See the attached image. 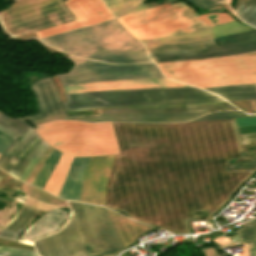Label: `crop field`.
<instances>
[{
	"label": "crop field",
	"mask_w": 256,
	"mask_h": 256,
	"mask_svg": "<svg viewBox=\"0 0 256 256\" xmlns=\"http://www.w3.org/2000/svg\"><path fill=\"white\" fill-rule=\"evenodd\" d=\"M0 132L12 137V138H16L18 135L8 131L7 129L3 128L2 126H0ZM2 133H0V154L7 148V146L13 141V139L3 135Z\"/></svg>",
	"instance_id": "028f5c9d"
},
{
	"label": "crop field",
	"mask_w": 256,
	"mask_h": 256,
	"mask_svg": "<svg viewBox=\"0 0 256 256\" xmlns=\"http://www.w3.org/2000/svg\"><path fill=\"white\" fill-rule=\"evenodd\" d=\"M218 46L213 39L204 40L199 42L187 43V44H165L157 46L146 47L147 51H159V50H190L201 49L205 47Z\"/></svg>",
	"instance_id": "730fd06b"
},
{
	"label": "crop field",
	"mask_w": 256,
	"mask_h": 256,
	"mask_svg": "<svg viewBox=\"0 0 256 256\" xmlns=\"http://www.w3.org/2000/svg\"><path fill=\"white\" fill-rule=\"evenodd\" d=\"M30 87L36 96L39 113L24 118L34 124L67 118V113L52 77L38 79Z\"/></svg>",
	"instance_id": "d1516ede"
},
{
	"label": "crop field",
	"mask_w": 256,
	"mask_h": 256,
	"mask_svg": "<svg viewBox=\"0 0 256 256\" xmlns=\"http://www.w3.org/2000/svg\"><path fill=\"white\" fill-rule=\"evenodd\" d=\"M209 90L227 101L256 99V84L225 86V87H209Z\"/></svg>",
	"instance_id": "a9b5d70f"
},
{
	"label": "crop field",
	"mask_w": 256,
	"mask_h": 256,
	"mask_svg": "<svg viewBox=\"0 0 256 256\" xmlns=\"http://www.w3.org/2000/svg\"><path fill=\"white\" fill-rule=\"evenodd\" d=\"M209 111L187 112L173 114H104V115H80L69 119H80L87 122L100 121H131V122H177L187 121ZM68 119V118H67Z\"/></svg>",
	"instance_id": "733c2abd"
},
{
	"label": "crop field",
	"mask_w": 256,
	"mask_h": 256,
	"mask_svg": "<svg viewBox=\"0 0 256 256\" xmlns=\"http://www.w3.org/2000/svg\"><path fill=\"white\" fill-rule=\"evenodd\" d=\"M239 236V244L256 239V220L250 224L245 223L235 231Z\"/></svg>",
	"instance_id": "750c4746"
},
{
	"label": "crop field",
	"mask_w": 256,
	"mask_h": 256,
	"mask_svg": "<svg viewBox=\"0 0 256 256\" xmlns=\"http://www.w3.org/2000/svg\"><path fill=\"white\" fill-rule=\"evenodd\" d=\"M229 168H256V160L231 162Z\"/></svg>",
	"instance_id": "b80d0937"
},
{
	"label": "crop field",
	"mask_w": 256,
	"mask_h": 256,
	"mask_svg": "<svg viewBox=\"0 0 256 256\" xmlns=\"http://www.w3.org/2000/svg\"><path fill=\"white\" fill-rule=\"evenodd\" d=\"M61 152L54 149L47 160L44 162L43 166L41 167L40 171L36 175L35 179L32 182V185L38 186L43 189L48 177L50 176L54 166L56 165Z\"/></svg>",
	"instance_id": "4177f3b9"
},
{
	"label": "crop field",
	"mask_w": 256,
	"mask_h": 256,
	"mask_svg": "<svg viewBox=\"0 0 256 256\" xmlns=\"http://www.w3.org/2000/svg\"><path fill=\"white\" fill-rule=\"evenodd\" d=\"M242 1H243V0H237L235 10H236V9H237V7L242 3Z\"/></svg>",
	"instance_id": "425ffa30"
},
{
	"label": "crop field",
	"mask_w": 256,
	"mask_h": 256,
	"mask_svg": "<svg viewBox=\"0 0 256 256\" xmlns=\"http://www.w3.org/2000/svg\"><path fill=\"white\" fill-rule=\"evenodd\" d=\"M247 30H251V29L244 25H241L239 22L235 20L233 22L211 27L195 33L155 37V38L142 39L139 41H141L144 46L164 44V43H186V42H193V41L215 38V37L224 36L228 34L247 31Z\"/></svg>",
	"instance_id": "d9b57169"
},
{
	"label": "crop field",
	"mask_w": 256,
	"mask_h": 256,
	"mask_svg": "<svg viewBox=\"0 0 256 256\" xmlns=\"http://www.w3.org/2000/svg\"><path fill=\"white\" fill-rule=\"evenodd\" d=\"M88 256H115L123 251L105 208L68 201Z\"/></svg>",
	"instance_id": "d8731c3e"
},
{
	"label": "crop field",
	"mask_w": 256,
	"mask_h": 256,
	"mask_svg": "<svg viewBox=\"0 0 256 256\" xmlns=\"http://www.w3.org/2000/svg\"><path fill=\"white\" fill-rule=\"evenodd\" d=\"M21 187H23V191L41 201L47 202V203H52V204H62V205H66V201L65 200H61L58 198L53 197L52 195L48 194L47 192L38 189L36 187H33L31 185L25 184L23 183L21 185ZM21 189V188H20Z\"/></svg>",
	"instance_id": "d3111659"
},
{
	"label": "crop field",
	"mask_w": 256,
	"mask_h": 256,
	"mask_svg": "<svg viewBox=\"0 0 256 256\" xmlns=\"http://www.w3.org/2000/svg\"><path fill=\"white\" fill-rule=\"evenodd\" d=\"M141 1L143 0H126L124 2H121L117 5H114L110 7L109 9L114 13L116 18L134 13L146 8H149L145 4H143Z\"/></svg>",
	"instance_id": "eef30255"
},
{
	"label": "crop field",
	"mask_w": 256,
	"mask_h": 256,
	"mask_svg": "<svg viewBox=\"0 0 256 256\" xmlns=\"http://www.w3.org/2000/svg\"><path fill=\"white\" fill-rule=\"evenodd\" d=\"M119 20L138 39L195 32L233 21L227 13L198 16L185 2L162 5Z\"/></svg>",
	"instance_id": "412701ff"
},
{
	"label": "crop field",
	"mask_w": 256,
	"mask_h": 256,
	"mask_svg": "<svg viewBox=\"0 0 256 256\" xmlns=\"http://www.w3.org/2000/svg\"><path fill=\"white\" fill-rule=\"evenodd\" d=\"M204 256H223L216 248H204L200 249Z\"/></svg>",
	"instance_id": "03da06ac"
},
{
	"label": "crop field",
	"mask_w": 256,
	"mask_h": 256,
	"mask_svg": "<svg viewBox=\"0 0 256 256\" xmlns=\"http://www.w3.org/2000/svg\"><path fill=\"white\" fill-rule=\"evenodd\" d=\"M222 103H227V102L204 103V104H190V105H175V106L212 105V104H222ZM175 106L128 105V106H114V107H98V108L70 109V110H67V111L89 110V109H107V108H128V107H175Z\"/></svg>",
	"instance_id": "5866460e"
},
{
	"label": "crop field",
	"mask_w": 256,
	"mask_h": 256,
	"mask_svg": "<svg viewBox=\"0 0 256 256\" xmlns=\"http://www.w3.org/2000/svg\"><path fill=\"white\" fill-rule=\"evenodd\" d=\"M64 3L78 20L37 31L38 38L114 19L100 0H67Z\"/></svg>",
	"instance_id": "3316defc"
},
{
	"label": "crop field",
	"mask_w": 256,
	"mask_h": 256,
	"mask_svg": "<svg viewBox=\"0 0 256 256\" xmlns=\"http://www.w3.org/2000/svg\"><path fill=\"white\" fill-rule=\"evenodd\" d=\"M45 143L46 142L42 140L37 134L19 151V153L7 167L6 172L18 179L31 159Z\"/></svg>",
	"instance_id": "92a150f3"
},
{
	"label": "crop field",
	"mask_w": 256,
	"mask_h": 256,
	"mask_svg": "<svg viewBox=\"0 0 256 256\" xmlns=\"http://www.w3.org/2000/svg\"><path fill=\"white\" fill-rule=\"evenodd\" d=\"M68 58L75 65L69 73L56 75L62 85L105 80L164 77L154 63L110 65L73 56H68Z\"/></svg>",
	"instance_id": "5a996713"
},
{
	"label": "crop field",
	"mask_w": 256,
	"mask_h": 256,
	"mask_svg": "<svg viewBox=\"0 0 256 256\" xmlns=\"http://www.w3.org/2000/svg\"><path fill=\"white\" fill-rule=\"evenodd\" d=\"M246 116H256L255 115H246L240 111L235 112H214L205 114L202 117H198L192 121L195 120H212V119H226V118H238V117H246Z\"/></svg>",
	"instance_id": "1d83c4d3"
},
{
	"label": "crop field",
	"mask_w": 256,
	"mask_h": 256,
	"mask_svg": "<svg viewBox=\"0 0 256 256\" xmlns=\"http://www.w3.org/2000/svg\"><path fill=\"white\" fill-rule=\"evenodd\" d=\"M38 212V210H34L23 204L17 215L0 232V238L15 241L18 234L30 223Z\"/></svg>",
	"instance_id": "dafd665d"
},
{
	"label": "crop field",
	"mask_w": 256,
	"mask_h": 256,
	"mask_svg": "<svg viewBox=\"0 0 256 256\" xmlns=\"http://www.w3.org/2000/svg\"><path fill=\"white\" fill-rule=\"evenodd\" d=\"M0 11V28L11 38L76 18L64 5L66 0H13Z\"/></svg>",
	"instance_id": "e52e79f7"
},
{
	"label": "crop field",
	"mask_w": 256,
	"mask_h": 256,
	"mask_svg": "<svg viewBox=\"0 0 256 256\" xmlns=\"http://www.w3.org/2000/svg\"><path fill=\"white\" fill-rule=\"evenodd\" d=\"M115 156L106 207L163 229L192 233L196 213L212 217L256 169H228L245 160L233 119L166 124L113 123Z\"/></svg>",
	"instance_id": "8a807250"
},
{
	"label": "crop field",
	"mask_w": 256,
	"mask_h": 256,
	"mask_svg": "<svg viewBox=\"0 0 256 256\" xmlns=\"http://www.w3.org/2000/svg\"><path fill=\"white\" fill-rule=\"evenodd\" d=\"M49 145L46 143L43 148L36 154V156L32 159V161L30 162V164L28 165V167L25 169V171L23 172V174L21 175L19 180L24 181L25 178L28 176V174L30 173V171L32 170V168L35 166V164L37 163V161L39 160V158L42 156V154L44 153V151L47 149Z\"/></svg>",
	"instance_id": "0bd39190"
},
{
	"label": "crop field",
	"mask_w": 256,
	"mask_h": 256,
	"mask_svg": "<svg viewBox=\"0 0 256 256\" xmlns=\"http://www.w3.org/2000/svg\"><path fill=\"white\" fill-rule=\"evenodd\" d=\"M34 245L40 256H87L73 216L61 231L35 240Z\"/></svg>",
	"instance_id": "28ad6ade"
},
{
	"label": "crop field",
	"mask_w": 256,
	"mask_h": 256,
	"mask_svg": "<svg viewBox=\"0 0 256 256\" xmlns=\"http://www.w3.org/2000/svg\"><path fill=\"white\" fill-rule=\"evenodd\" d=\"M114 156L90 158L82 186L81 201L105 206V188Z\"/></svg>",
	"instance_id": "22f410ed"
},
{
	"label": "crop field",
	"mask_w": 256,
	"mask_h": 256,
	"mask_svg": "<svg viewBox=\"0 0 256 256\" xmlns=\"http://www.w3.org/2000/svg\"><path fill=\"white\" fill-rule=\"evenodd\" d=\"M26 204L35 208V209H38V210H44V211H49L53 208H57V207H66V206H62V205H52V204H47V203H44V202H41L35 198H32L28 195H26ZM68 208V207H66Z\"/></svg>",
	"instance_id": "d32e631a"
},
{
	"label": "crop field",
	"mask_w": 256,
	"mask_h": 256,
	"mask_svg": "<svg viewBox=\"0 0 256 256\" xmlns=\"http://www.w3.org/2000/svg\"><path fill=\"white\" fill-rule=\"evenodd\" d=\"M0 255L3 256H37L35 251L13 247L0 246Z\"/></svg>",
	"instance_id": "120bbe31"
},
{
	"label": "crop field",
	"mask_w": 256,
	"mask_h": 256,
	"mask_svg": "<svg viewBox=\"0 0 256 256\" xmlns=\"http://www.w3.org/2000/svg\"><path fill=\"white\" fill-rule=\"evenodd\" d=\"M65 109L128 104L173 105L224 101L207 91L195 88L139 90H104L66 95Z\"/></svg>",
	"instance_id": "dd49c442"
},
{
	"label": "crop field",
	"mask_w": 256,
	"mask_h": 256,
	"mask_svg": "<svg viewBox=\"0 0 256 256\" xmlns=\"http://www.w3.org/2000/svg\"><path fill=\"white\" fill-rule=\"evenodd\" d=\"M188 1L204 8V9H206L212 5H215L217 3H226L225 0H215V1H213V0H188Z\"/></svg>",
	"instance_id": "c035e120"
},
{
	"label": "crop field",
	"mask_w": 256,
	"mask_h": 256,
	"mask_svg": "<svg viewBox=\"0 0 256 256\" xmlns=\"http://www.w3.org/2000/svg\"><path fill=\"white\" fill-rule=\"evenodd\" d=\"M187 86L168 80L166 78H150L136 80H119L83 83L64 86V93H78L104 89H139V88H163Z\"/></svg>",
	"instance_id": "5142ce71"
},
{
	"label": "crop field",
	"mask_w": 256,
	"mask_h": 256,
	"mask_svg": "<svg viewBox=\"0 0 256 256\" xmlns=\"http://www.w3.org/2000/svg\"><path fill=\"white\" fill-rule=\"evenodd\" d=\"M216 40L218 41L219 45L256 40V31L252 30L245 33L217 38Z\"/></svg>",
	"instance_id": "bd1437ed"
},
{
	"label": "crop field",
	"mask_w": 256,
	"mask_h": 256,
	"mask_svg": "<svg viewBox=\"0 0 256 256\" xmlns=\"http://www.w3.org/2000/svg\"><path fill=\"white\" fill-rule=\"evenodd\" d=\"M54 148L50 147L46 150V152L43 154V156L41 157V159L38 161V163L36 164V166L33 168V170L31 171V173L29 174V176L26 178L25 182L30 183L32 182V180L34 179L35 175L37 174V172L39 171L40 167L42 166L43 162L46 160V158L49 156V154L52 152Z\"/></svg>",
	"instance_id": "e1f06a70"
},
{
	"label": "crop field",
	"mask_w": 256,
	"mask_h": 256,
	"mask_svg": "<svg viewBox=\"0 0 256 256\" xmlns=\"http://www.w3.org/2000/svg\"><path fill=\"white\" fill-rule=\"evenodd\" d=\"M90 157H74L62 188L59 197L70 200L80 201V191Z\"/></svg>",
	"instance_id": "bc2a9ffb"
},
{
	"label": "crop field",
	"mask_w": 256,
	"mask_h": 256,
	"mask_svg": "<svg viewBox=\"0 0 256 256\" xmlns=\"http://www.w3.org/2000/svg\"><path fill=\"white\" fill-rule=\"evenodd\" d=\"M36 127L41 138L63 152L44 187L55 195L59 193L73 156L120 153L111 122L57 120Z\"/></svg>",
	"instance_id": "34b2d1b8"
},
{
	"label": "crop field",
	"mask_w": 256,
	"mask_h": 256,
	"mask_svg": "<svg viewBox=\"0 0 256 256\" xmlns=\"http://www.w3.org/2000/svg\"><path fill=\"white\" fill-rule=\"evenodd\" d=\"M235 108L230 104L213 105V106H196V107H175V108H128V109H108L98 110L99 113H173L215 109Z\"/></svg>",
	"instance_id": "00972430"
},
{
	"label": "crop field",
	"mask_w": 256,
	"mask_h": 256,
	"mask_svg": "<svg viewBox=\"0 0 256 256\" xmlns=\"http://www.w3.org/2000/svg\"><path fill=\"white\" fill-rule=\"evenodd\" d=\"M40 40L70 54L108 63L152 62L145 48L116 19Z\"/></svg>",
	"instance_id": "ac0d7876"
},
{
	"label": "crop field",
	"mask_w": 256,
	"mask_h": 256,
	"mask_svg": "<svg viewBox=\"0 0 256 256\" xmlns=\"http://www.w3.org/2000/svg\"><path fill=\"white\" fill-rule=\"evenodd\" d=\"M236 14L240 19L256 27V0H244L236 10Z\"/></svg>",
	"instance_id": "ae1a2a85"
},
{
	"label": "crop field",
	"mask_w": 256,
	"mask_h": 256,
	"mask_svg": "<svg viewBox=\"0 0 256 256\" xmlns=\"http://www.w3.org/2000/svg\"><path fill=\"white\" fill-rule=\"evenodd\" d=\"M124 0H103V2L107 5V7L119 3Z\"/></svg>",
	"instance_id": "d23c7cc5"
},
{
	"label": "crop field",
	"mask_w": 256,
	"mask_h": 256,
	"mask_svg": "<svg viewBox=\"0 0 256 256\" xmlns=\"http://www.w3.org/2000/svg\"><path fill=\"white\" fill-rule=\"evenodd\" d=\"M0 125L19 135L0 156V169L4 171L22 146L37 133L22 118L11 120L0 114Z\"/></svg>",
	"instance_id": "4a817a6b"
},
{
	"label": "crop field",
	"mask_w": 256,
	"mask_h": 256,
	"mask_svg": "<svg viewBox=\"0 0 256 256\" xmlns=\"http://www.w3.org/2000/svg\"><path fill=\"white\" fill-rule=\"evenodd\" d=\"M256 51V41L205 48L201 50L190 51H160V52H148V54L158 62L173 61V60H189L200 59L216 56H224L231 54L247 53Z\"/></svg>",
	"instance_id": "cbeb9de0"
},
{
	"label": "crop field",
	"mask_w": 256,
	"mask_h": 256,
	"mask_svg": "<svg viewBox=\"0 0 256 256\" xmlns=\"http://www.w3.org/2000/svg\"><path fill=\"white\" fill-rule=\"evenodd\" d=\"M107 211L111 223L124 248L134 245L138 237L153 229L144 224L133 222L116 212L108 209Z\"/></svg>",
	"instance_id": "214f88e0"
},
{
	"label": "crop field",
	"mask_w": 256,
	"mask_h": 256,
	"mask_svg": "<svg viewBox=\"0 0 256 256\" xmlns=\"http://www.w3.org/2000/svg\"><path fill=\"white\" fill-rule=\"evenodd\" d=\"M238 127L256 125V117H246L235 119Z\"/></svg>",
	"instance_id": "c21b1889"
},
{
	"label": "crop field",
	"mask_w": 256,
	"mask_h": 256,
	"mask_svg": "<svg viewBox=\"0 0 256 256\" xmlns=\"http://www.w3.org/2000/svg\"><path fill=\"white\" fill-rule=\"evenodd\" d=\"M245 144L256 142V133L241 135Z\"/></svg>",
	"instance_id": "5d738f31"
},
{
	"label": "crop field",
	"mask_w": 256,
	"mask_h": 256,
	"mask_svg": "<svg viewBox=\"0 0 256 256\" xmlns=\"http://www.w3.org/2000/svg\"><path fill=\"white\" fill-rule=\"evenodd\" d=\"M246 256H256V241L246 244Z\"/></svg>",
	"instance_id": "b54c1fbb"
},
{
	"label": "crop field",
	"mask_w": 256,
	"mask_h": 256,
	"mask_svg": "<svg viewBox=\"0 0 256 256\" xmlns=\"http://www.w3.org/2000/svg\"><path fill=\"white\" fill-rule=\"evenodd\" d=\"M172 79L199 87L256 83V56L157 63Z\"/></svg>",
	"instance_id": "f4fd0767"
}]
</instances>
